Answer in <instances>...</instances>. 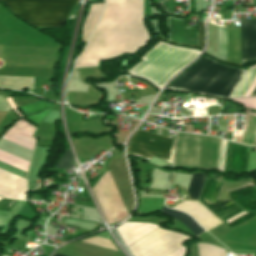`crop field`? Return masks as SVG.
<instances>
[{
	"mask_svg": "<svg viewBox=\"0 0 256 256\" xmlns=\"http://www.w3.org/2000/svg\"><path fill=\"white\" fill-rule=\"evenodd\" d=\"M223 253H225V251L223 250Z\"/></svg>",
	"mask_w": 256,
	"mask_h": 256,
	"instance_id": "92a150f3",
	"label": "crop field"
},
{
	"mask_svg": "<svg viewBox=\"0 0 256 256\" xmlns=\"http://www.w3.org/2000/svg\"><path fill=\"white\" fill-rule=\"evenodd\" d=\"M199 53L193 49L176 48L159 42L128 73L142 77L161 88Z\"/></svg>",
	"mask_w": 256,
	"mask_h": 256,
	"instance_id": "34b2d1b8",
	"label": "crop field"
},
{
	"mask_svg": "<svg viewBox=\"0 0 256 256\" xmlns=\"http://www.w3.org/2000/svg\"><path fill=\"white\" fill-rule=\"evenodd\" d=\"M221 139L178 133L174 165L217 169Z\"/></svg>",
	"mask_w": 256,
	"mask_h": 256,
	"instance_id": "412701ff",
	"label": "crop field"
},
{
	"mask_svg": "<svg viewBox=\"0 0 256 256\" xmlns=\"http://www.w3.org/2000/svg\"><path fill=\"white\" fill-rule=\"evenodd\" d=\"M72 162H73V160L71 158L70 151L67 150V152L65 153V155L63 156V158L61 159V161L59 162V164L57 165L56 168L69 169Z\"/></svg>",
	"mask_w": 256,
	"mask_h": 256,
	"instance_id": "cbeb9de0",
	"label": "crop field"
},
{
	"mask_svg": "<svg viewBox=\"0 0 256 256\" xmlns=\"http://www.w3.org/2000/svg\"><path fill=\"white\" fill-rule=\"evenodd\" d=\"M255 77H256V65L250 67L247 74L244 76V78L238 84V86L233 91V93L230 95V97H232V98L242 97V95L245 93V91L250 86V84L252 83V81L254 80Z\"/></svg>",
	"mask_w": 256,
	"mask_h": 256,
	"instance_id": "28ad6ade",
	"label": "crop field"
},
{
	"mask_svg": "<svg viewBox=\"0 0 256 256\" xmlns=\"http://www.w3.org/2000/svg\"><path fill=\"white\" fill-rule=\"evenodd\" d=\"M203 25L204 22H199V37H200V47H204V40H203Z\"/></svg>",
	"mask_w": 256,
	"mask_h": 256,
	"instance_id": "d9b57169",
	"label": "crop field"
},
{
	"mask_svg": "<svg viewBox=\"0 0 256 256\" xmlns=\"http://www.w3.org/2000/svg\"><path fill=\"white\" fill-rule=\"evenodd\" d=\"M185 253V248H183L182 246L179 247L178 249H176L175 251H173L172 253H170L167 256H180L181 254Z\"/></svg>",
	"mask_w": 256,
	"mask_h": 256,
	"instance_id": "733c2abd",
	"label": "crop field"
},
{
	"mask_svg": "<svg viewBox=\"0 0 256 256\" xmlns=\"http://www.w3.org/2000/svg\"><path fill=\"white\" fill-rule=\"evenodd\" d=\"M174 143V140L137 130L129 139L127 154L147 161L154 155L172 164Z\"/></svg>",
	"mask_w": 256,
	"mask_h": 256,
	"instance_id": "dd49c442",
	"label": "crop field"
},
{
	"mask_svg": "<svg viewBox=\"0 0 256 256\" xmlns=\"http://www.w3.org/2000/svg\"><path fill=\"white\" fill-rule=\"evenodd\" d=\"M70 1L78 0H2L14 14L36 27L62 26Z\"/></svg>",
	"mask_w": 256,
	"mask_h": 256,
	"instance_id": "f4fd0767",
	"label": "crop field"
},
{
	"mask_svg": "<svg viewBox=\"0 0 256 256\" xmlns=\"http://www.w3.org/2000/svg\"><path fill=\"white\" fill-rule=\"evenodd\" d=\"M255 86H256V79L253 81V83H252L251 86L248 88V90H247L246 93L243 95V97H248L249 94L252 92V90L254 89Z\"/></svg>",
	"mask_w": 256,
	"mask_h": 256,
	"instance_id": "4a817a6b",
	"label": "crop field"
},
{
	"mask_svg": "<svg viewBox=\"0 0 256 256\" xmlns=\"http://www.w3.org/2000/svg\"><path fill=\"white\" fill-rule=\"evenodd\" d=\"M163 8L173 14V0H167L163 2Z\"/></svg>",
	"mask_w": 256,
	"mask_h": 256,
	"instance_id": "5142ce71",
	"label": "crop field"
},
{
	"mask_svg": "<svg viewBox=\"0 0 256 256\" xmlns=\"http://www.w3.org/2000/svg\"><path fill=\"white\" fill-rule=\"evenodd\" d=\"M250 96H256V88H255V90L252 92V94Z\"/></svg>",
	"mask_w": 256,
	"mask_h": 256,
	"instance_id": "bc2a9ffb",
	"label": "crop field"
},
{
	"mask_svg": "<svg viewBox=\"0 0 256 256\" xmlns=\"http://www.w3.org/2000/svg\"><path fill=\"white\" fill-rule=\"evenodd\" d=\"M103 6H104V3L89 5L88 11L85 17L83 29H82L83 41L87 40L88 36L90 35L91 31L96 25L98 18L102 12Z\"/></svg>",
	"mask_w": 256,
	"mask_h": 256,
	"instance_id": "5a996713",
	"label": "crop field"
},
{
	"mask_svg": "<svg viewBox=\"0 0 256 256\" xmlns=\"http://www.w3.org/2000/svg\"><path fill=\"white\" fill-rule=\"evenodd\" d=\"M170 39L174 42L197 46V30L184 29V21L170 19Z\"/></svg>",
	"mask_w": 256,
	"mask_h": 256,
	"instance_id": "d8731c3e",
	"label": "crop field"
},
{
	"mask_svg": "<svg viewBox=\"0 0 256 256\" xmlns=\"http://www.w3.org/2000/svg\"><path fill=\"white\" fill-rule=\"evenodd\" d=\"M245 73L202 56L168 88L229 97Z\"/></svg>",
	"mask_w": 256,
	"mask_h": 256,
	"instance_id": "ac0d7876",
	"label": "crop field"
},
{
	"mask_svg": "<svg viewBox=\"0 0 256 256\" xmlns=\"http://www.w3.org/2000/svg\"><path fill=\"white\" fill-rule=\"evenodd\" d=\"M162 212L164 214H169L181 223H183L192 233H194L196 236L204 232L199 225L188 215L181 213L179 211L170 210L168 208L163 207Z\"/></svg>",
	"mask_w": 256,
	"mask_h": 256,
	"instance_id": "3316defc",
	"label": "crop field"
},
{
	"mask_svg": "<svg viewBox=\"0 0 256 256\" xmlns=\"http://www.w3.org/2000/svg\"><path fill=\"white\" fill-rule=\"evenodd\" d=\"M142 16L143 0H106L104 14L74 68L96 66L124 52L133 54L149 38Z\"/></svg>",
	"mask_w": 256,
	"mask_h": 256,
	"instance_id": "8a807250",
	"label": "crop field"
},
{
	"mask_svg": "<svg viewBox=\"0 0 256 256\" xmlns=\"http://www.w3.org/2000/svg\"><path fill=\"white\" fill-rule=\"evenodd\" d=\"M204 176L205 174H201V173H197L192 176L191 182L187 190L191 199L198 198Z\"/></svg>",
	"mask_w": 256,
	"mask_h": 256,
	"instance_id": "22f410ed",
	"label": "crop field"
},
{
	"mask_svg": "<svg viewBox=\"0 0 256 256\" xmlns=\"http://www.w3.org/2000/svg\"><path fill=\"white\" fill-rule=\"evenodd\" d=\"M242 64L256 60V20H240Z\"/></svg>",
	"mask_w": 256,
	"mask_h": 256,
	"instance_id": "e52e79f7",
	"label": "crop field"
},
{
	"mask_svg": "<svg viewBox=\"0 0 256 256\" xmlns=\"http://www.w3.org/2000/svg\"><path fill=\"white\" fill-rule=\"evenodd\" d=\"M0 161L1 162H4L8 165H11L15 168H18L20 170H23V171H27V167H28V162L24 161V160H21L17 157H14L10 154H7L3 151H0Z\"/></svg>",
	"mask_w": 256,
	"mask_h": 256,
	"instance_id": "d1516ede",
	"label": "crop field"
},
{
	"mask_svg": "<svg viewBox=\"0 0 256 256\" xmlns=\"http://www.w3.org/2000/svg\"><path fill=\"white\" fill-rule=\"evenodd\" d=\"M53 256H64V255L54 253Z\"/></svg>",
	"mask_w": 256,
	"mask_h": 256,
	"instance_id": "214f88e0",
	"label": "crop field"
}]
</instances>
